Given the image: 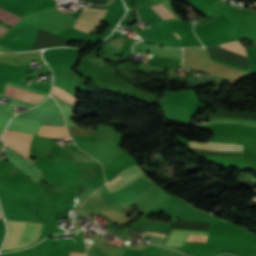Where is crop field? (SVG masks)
Segmentation results:
<instances>
[{"instance_id":"obj_15","label":"crop field","mask_w":256,"mask_h":256,"mask_svg":"<svg viewBox=\"0 0 256 256\" xmlns=\"http://www.w3.org/2000/svg\"><path fill=\"white\" fill-rule=\"evenodd\" d=\"M207 236H199V235H189L187 241H200L205 242Z\"/></svg>"},{"instance_id":"obj_11","label":"crop field","mask_w":256,"mask_h":256,"mask_svg":"<svg viewBox=\"0 0 256 256\" xmlns=\"http://www.w3.org/2000/svg\"><path fill=\"white\" fill-rule=\"evenodd\" d=\"M51 93H53V94H55V95H57V96H59V97L65 99V100H67V101H69V102H71V103H73V104H77V102H78V101L75 99V97L69 95L68 93H66L65 91H63V90H61V89H59V88H57V87H53ZM53 94H51V95L54 97V99H55L56 101L71 104V103H69V102H67V101H65V100H63V99H61V98H59V97H57V96H55V95H53ZM73 104H71V105H73Z\"/></svg>"},{"instance_id":"obj_14","label":"crop field","mask_w":256,"mask_h":256,"mask_svg":"<svg viewBox=\"0 0 256 256\" xmlns=\"http://www.w3.org/2000/svg\"><path fill=\"white\" fill-rule=\"evenodd\" d=\"M210 121L211 122H215V121H231V122H236V123H244V124L256 125V122L237 120V119H231V118H216V119H210Z\"/></svg>"},{"instance_id":"obj_6","label":"crop field","mask_w":256,"mask_h":256,"mask_svg":"<svg viewBox=\"0 0 256 256\" xmlns=\"http://www.w3.org/2000/svg\"><path fill=\"white\" fill-rule=\"evenodd\" d=\"M191 148L204 149L210 151H233V152H242L243 145L236 144H223L216 142L208 143H196L190 141Z\"/></svg>"},{"instance_id":"obj_7","label":"crop field","mask_w":256,"mask_h":256,"mask_svg":"<svg viewBox=\"0 0 256 256\" xmlns=\"http://www.w3.org/2000/svg\"><path fill=\"white\" fill-rule=\"evenodd\" d=\"M208 232L171 230L164 243L167 246L179 247L184 244L189 234L207 235Z\"/></svg>"},{"instance_id":"obj_4","label":"crop field","mask_w":256,"mask_h":256,"mask_svg":"<svg viewBox=\"0 0 256 256\" xmlns=\"http://www.w3.org/2000/svg\"><path fill=\"white\" fill-rule=\"evenodd\" d=\"M143 174L144 173L136 167L129 168L124 170L116 179L112 180L109 183H106L105 185L109 189V191L112 192L114 190L123 188L124 186L139 178Z\"/></svg>"},{"instance_id":"obj_8","label":"crop field","mask_w":256,"mask_h":256,"mask_svg":"<svg viewBox=\"0 0 256 256\" xmlns=\"http://www.w3.org/2000/svg\"><path fill=\"white\" fill-rule=\"evenodd\" d=\"M4 95L12 97V98L19 99V100H22V101H26V102H29V103H33V104H35L41 98H43V96H39V95H36V94H32V93L25 92V91L15 89V88H12V87H8V86L6 87V91H5Z\"/></svg>"},{"instance_id":"obj_9","label":"crop field","mask_w":256,"mask_h":256,"mask_svg":"<svg viewBox=\"0 0 256 256\" xmlns=\"http://www.w3.org/2000/svg\"><path fill=\"white\" fill-rule=\"evenodd\" d=\"M38 135L48 136V137H65V138H70L67 135L65 127H51V126H45V125H43L40 128Z\"/></svg>"},{"instance_id":"obj_13","label":"crop field","mask_w":256,"mask_h":256,"mask_svg":"<svg viewBox=\"0 0 256 256\" xmlns=\"http://www.w3.org/2000/svg\"><path fill=\"white\" fill-rule=\"evenodd\" d=\"M163 19L175 18L162 4L151 6Z\"/></svg>"},{"instance_id":"obj_5","label":"crop field","mask_w":256,"mask_h":256,"mask_svg":"<svg viewBox=\"0 0 256 256\" xmlns=\"http://www.w3.org/2000/svg\"><path fill=\"white\" fill-rule=\"evenodd\" d=\"M57 103H59V102H57ZM59 104L67 105V104H63V103H59ZM62 105H59V106L64 114L67 126L76 125L72 119L74 111H75V108H73V107H75V106L67 107V106H71V105H67V106H62ZM67 128H68V133L70 136L83 135V136L91 137L93 134V131H94L92 129H86V128L79 127V126H72V127H67Z\"/></svg>"},{"instance_id":"obj_1","label":"crop field","mask_w":256,"mask_h":256,"mask_svg":"<svg viewBox=\"0 0 256 256\" xmlns=\"http://www.w3.org/2000/svg\"><path fill=\"white\" fill-rule=\"evenodd\" d=\"M9 227V234L3 250L16 247L19 237L26 222L6 220ZM42 224L27 222L18 242V247H26L38 240Z\"/></svg>"},{"instance_id":"obj_19","label":"crop field","mask_w":256,"mask_h":256,"mask_svg":"<svg viewBox=\"0 0 256 256\" xmlns=\"http://www.w3.org/2000/svg\"><path fill=\"white\" fill-rule=\"evenodd\" d=\"M175 35V34H174ZM176 36V35H175ZM177 37V36H176ZM178 38V37H177ZM179 39V38H178Z\"/></svg>"},{"instance_id":"obj_10","label":"crop field","mask_w":256,"mask_h":256,"mask_svg":"<svg viewBox=\"0 0 256 256\" xmlns=\"http://www.w3.org/2000/svg\"><path fill=\"white\" fill-rule=\"evenodd\" d=\"M0 19L11 24V25H15L17 22H19L21 20V18L3 10L0 8ZM8 31V29L0 26V37L6 33Z\"/></svg>"},{"instance_id":"obj_17","label":"crop field","mask_w":256,"mask_h":256,"mask_svg":"<svg viewBox=\"0 0 256 256\" xmlns=\"http://www.w3.org/2000/svg\"><path fill=\"white\" fill-rule=\"evenodd\" d=\"M146 234H153V235L162 236V237L165 236V235H163V234H158V233H148V232H146Z\"/></svg>"},{"instance_id":"obj_21","label":"crop field","mask_w":256,"mask_h":256,"mask_svg":"<svg viewBox=\"0 0 256 256\" xmlns=\"http://www.w3.org/2000/svg\"><path fill=\"white\" fill-rule=\"evenodd\" d=\"M111 1V0H110ZM110 3V2H109Z\"/></svg>"},{"instance_id":"obj_22","label":"crop field","mask_w":256,"mask_h":256,"mask_svg":"<svg viewBox=\"0 0 256 256\" xmlns=\"http://www.w3.org/2000/svg\"><path fill=\"white\" fill-rule=\"evenodd\" d=\"M1 218V217H0Z\"/></svg>"},{"instance_id":"obj_3","label":"crop field","mask_w":256,"mask_h":256,"mask_svg":"<svg viewBox=\"0 0 256 256\" xmlns=\"http://www.w3.org/2000/svg\"><path fill=\"white\" fill-rule=\"evenodd\" d=\"M33 135L6 130L3 139L7 146L22 153L28 159V147Z\"/></svg>"},{"instance_id":"obj_16","label":"crop field","mask_w":256,"mask_h":256,"mask_svg":"<svg viewBox=\"0 0 256 256\" xmlns=\"http://www.w3.org/2000/svg\"><path fill=\"white\" fill-rule=\"evenodd\" d=\"M70 256H85V254L71 252Z\"/></svg>"},{"instance_id":"obj_18","label":"crop field","mask_w":256,"mask_h":256,"mask_svg":"<svg viewBox=\"0 0 256 256\" xmlns=\"http://www.w3.org/2000/svg\"><path fill=\"white\" fill-rule=\"evenodd\" d=\"M253 4L256 5V2H254Z\"/></svg>"},{"instance_id":"obj_20","label":"crop field","mask_w":256,"mask_h":256,"mask_svg":"<svg viewBox=\"0 0 256 256\" xmlns=\"http://www.w3.org/2000/svg\"><path fill=\"white\" fill-rule=\"evenodd\" d=\"M176 34V33H175ZM177 35V34H176ZM178 36V35H177ZM179 37V36H178ZM180 38V37H179Z\"/></svg>"},{"instance_id":"obj_12","label":"crop field","mask_w":256,"mask_h":256,"mask_svg":"<svg viewBox=\"0 0 256 256\" xmlns=\"http://www.w3.org/2000/svg\"><path fill=\"white\" fill-rule=\"evenodd\" d=\"M218 47H221V48H224L226 50H229V51L238 53L240 55L246 56L245 52H244V47H242L239 44V42H232V43H228V44L221 45V46H218Z\"/></svg>"},{"instance_id":"obj_2","label":"crop field","mask_w":256,"mask_h":256,"mask_svg":"<svg viewBox=\"0 0 256 256\" xmlns=\"http://www.w3.org/2000/svg\"><path fill=\"white\" fill-rule=\"evenodd\" d=\"M105 11L106 9L83 8L74 25V29L89 33L99 25Z\"/></svg>"}]
</instances>
